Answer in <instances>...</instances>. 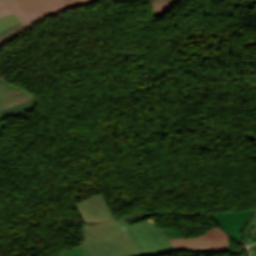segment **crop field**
Instances as JSON below:
<instances>
[{
  "label": "crop field",
  "instance_id": "22f410ed",
  "mask_svg": "<svg viewBox=\"0 0 256 256\" xmlns=\"http://www.w3.org/2000/svg\"><path fill=\"white\" fill-rule=\"evenodd\" d=\"M59 256H87L81 246H77Z\"/></svg>",
  "mask_w": 256,
  "mask_h": 256
},
{
  "label": "crop field",
  "instance_id": "3316defc",
  "mask_svg": "<svg viewBox=\"0 0 256 256\" xmlns=\"http://www.w3.org/2000/svg\"><path fill=\"white\" fill-rule=\"evenodd\" d=\"M177 251L232 253V240L228 241V249H178Z\"/></svg>",
  "mask_w": 256,
  "mask_h": 256
},
{
  "label": "crop field",
  "instance_id": "5a996713",
  "mask_svg": "<svg viewBox=\"0 0 256 256\" xmlns=\"http://www.w3.org/2000/svg\"><path fill=\"white\" fill-rule=\"evenodd\" d=\"M20 91H23L5 81L3 82H0V99L1 98H4V97H7L9 95H12V94H15V93H18ZM3 119V116L0 112V121Z\"/></svg>",
  "mask_w": 256,
  "mask_h": 256
},
{
  "label": "crop field",
  "instance_id": "28ad6ade",
  "mask_svg": "<svg viewBox=\"0 0 256 256\" xmlns=\"http://www.w3.org/2000/svg\"><path fill=\"white\" fill-rule=\"evenodd\" d=\"M20 22L18 17L12 13L0 18V30Z\"/></svg>",
  "mask_w": 256,
  "mask_h": 256
},
{
  "label": "crop field",
  "instance_id": "cbeb9de0",
  "mask_svg": "<svg viewBox=\"0 0 256 256\" xmlns=\"http://www.w3.org/2000/svg\"><path fill=\"white\" fill-rule=\"evenodd\" d=\"M9 13H12V11L7 7V5L2 0H0V17L7 15Z\"/></svg>",
  "mask_w": 256,
  "mask_h": 256
},
{
  "label": "crop field",
  "instance_id": "8a807250",
  "mask_svg": "<svg viewBox=\"0 0 256 256\" xmlns=\"http://www.w3.org/2000/svg\"><path fill=\"white\" fill-rule=\"evenodd\" d=\"M72 205L83 224L80 245L88 256H146L117 221L103 191Z\"/></svg>",
  "mask_w": 256,
  "mask_h": 256
},
{
  "label": "crop field",
  "instance_id": "d8731c3e",
  "mask_svg": "<svg viewBox=\"0 0 256 256\" xmlns=\"http://www.w3.org/2000/svg\"><path fill=\"white\" fill-rule=\"evenodd\" d=\"M8 7L20 18V20L27 26L33 25L31 21L26 17V15L23 13L19 5L15 0H3Z\"/></svg>",
  "mask_w": 256,
  "mask_h": 256
},
{
  "label": "crop field",
  "instance_id": "d9b57169",
  "mask_svg": "<svg viewBox=\"0 0 256 256\" xmlns=\"http://www.w3.org/2000/svg\"><path fill=\"white\" fill-rule=\"evenodd\" d=\"M0 81H3V80H0Z\"/></svg>",
  "mask_w": 256,
  "mask_h": 256
},
{
  "label": "crop field",
  "instance_id": "5142ce71",
  "mask_svg": "<svg viewBox=\"0 0 256 256\" xmlns=\"http://www.w3.org/2000/svg\"><path fill=\"white\" fill-rule=\"evenodd\" d=\"M3 124H4V123H0V131H1V129H2Z\"/></svg>",
  "mask_w": 256,
  "mask_h": 256
},
{
  "label": "crop field",
  "instance_id": "e52e79f7",
  "mask_svg": "<svg viewBox=\"0 0 256 256\" xmlns=\"http://www.w3.org/2000/svg\"><path fill=\"white\" fill-rule=\"evenodd\" d=\"M27 28L22 22L0 31V46L13 39Z\"/></svg>",
  "mask_w": 256,
  "mask_h": 256
},
{
  "label": "crop field",
  "instance_id": "ac0d7876",
  "mask_svg": "<svg viewBox=\"0 0 256 256\" xmlns=\"http://www.w3.org/2000/svg\"><path fill=\"white\" fill-rule=\"evenodd\" d=\"M120 222L148 256H159L176 251L152 218L133 225L128 222Z\"/></svg>",
  "mask_w": 256,
  "mask_h": 256
},
{
  "label": "crop field",
  "instance_id": "34b2d1b8",
  "mask_svg": "<svg viewBox=\"0 0 256 256\" xmlns=\"http://www.w3.org/2000/svg\"><path fill=\"white\" fill-rule=\"evenodd\" d=\"M174 248H227L229 236L222 228H215L196 239H184L177 230L161 229Z\"/></svg>",
  "mask_w": 256,
  "mask_h": 256
},
{
  "label": "crop field",
  "instance_id": "f4fd0767",
  "mask_svg": "<svg viewBox=\"0 0 256 256\" xmlns=\"http://www.w3.org/2000/svg\"><path fill=\"white\" fill-rule=\"evenodd\" d=\"M27 17L36 23L42 18L65 10V0H16Z\"/></svg>",
  "mask_w": 256,
  "mask_h": 256
},
{
  "label": "crop field",
  "instance_id": "dd49c442",
  "mask_svg": "<svg viewBox=\"0 0 256 256\" xmlns=\"http://www.w3.org/2000/svg\"><path fill=\"white\" fill-rule=\"evenodd\" d=\"M34 98L35 97L32 94H30L26 91H23V92H20L18 94L12 95L10 97L1 99L0 100V111H2L4 109H7L9 107L18 105L20 103L29 101V100L34 99Z\"/></svg>",
  "mask_w": 256,
  "mask_h": 256
},
{
  "label": "crop field",
  "instance_id": "412701ff",
  "mask_svg": "<svg viewBox=\"0 0 256 256\" xmlns=\"http://www.w3.org/2000/svg\"><path fill=\"white\" fill-rule=\"evenodd\" d=\"M255 213L256 212L252 210H245L210 215L216 221L219 227H222L234 241L245 245L241 230Z\"/></svg>",
  "mask_w": 256,
  "mask_h": 256
},
{
  "label": "crop field",
  "instance_id": "d1516ede",
  "mask_svg": "<svg viewBox=\"0 0 256 256\" xmlns=\"http://www.w3.org/2000/svg\"><path fill=\"white\" fill-rule=\"evenodd\" d=\"M94 1H99V0H66V10L72 7L84 5Z\"/></svg>",
  "mask_w": 256,
  "mask_h": 256
}]
</instances>
